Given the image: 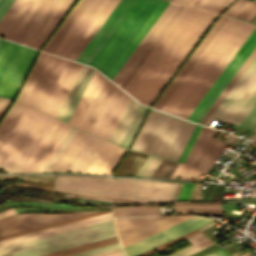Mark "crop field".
<instances>
[{"mask_svg": "<svg viewBox=\"0 0 256 256\" xmlns=\"http://www.w3.org/2000/svg\"><path fill=\"white\" fill-rule=\"evenodd\" d=\"M248 139H250V140H254V139H256V134L252 135V136H251V137H249Z\"/></svg>", "mask_w": 256, "mask_h": 256, "instance_id": "180be81f", "label": "crop field"}, {"mask_svg": "<svg viewBox=\"0 0 256 256\" xmlns=\"http://www.w3.org/2000/svg\"><path fill=\"white\" fill-rule=\"evenodd\" d=\"M194 126L150 109L131 149L177 161Z\"/></svg>", "mask_w": 256, "mask_h": 256, "instance_id": "f4fd0767", "label": "crop field"}, {"mask_svg": "<svg viewBox=\"0 0 256 256\" xmlns=\"http://www.w3.org/2000/svg\"><path fill=\"white\" fill-rule=\"evenodd\" d=\"M54 118L33 110H25L0 147V167L20 172Z\"/></svg>", "mask_w": 256, "mask_h": 256, "instance_id": "e52e79f7", "label": "crop field"}, {"mask_svg": "<svg viewBox=\"0 0 256 256\" xmlns=\"http://www.w3.org/2000/svg\"><path fill=\"white\" fill-rule=\"evenodd\" d=\"M256 131V130H255Z\"/></svg>", "mask_w": 256, "mask_h": 256, "instance_id": "819c52e7", "label": "crop field"}, {"mask_svg": "<svg viewBox=\"0 0 256 256\" xmlns=\"http://www.w3.org/2000/svg\"><path fill=\"white\" fill-rule=\"evenodd\" d=\"M256 2V0H254Z\"/></svg>", "mask_w": 256, "mask_h": 256, "instance_id": "1f1604b0", "label": "crop field"}, {"mask_svg": "<svg viewBox=\"0 0 256 256\" xmlns=\"http://www.w3.org/2000/svg\"><path fill=\"white\" fill-rule=\"evenodd\" d=\"M39 0H15L0 20V37L10 40Z\"/></svg>", "mask_w": 256, "mask_h": 256, "instance_id": "dafd665d", "label": "crop field"}, {"mask_svg": "<svg viewBox=\"0 0 256 256\" xmlns=\"http://www.w3.org/2000/svg\"><path fill=\"white\" fill-rule=\"evenodd\" d=\"M104 143L105 140L78 129L51 172L85 173Z\"/></svg>", "mask_w": 256, "mask_h": 256, "instance_id": "22f410ed", "label": "crop field"}, {"mask_svg": "<svg viewBox=\"0 0 256 256\" xmlns=\"http://www.w3.org/2000/svg\"><path fill=\"white\" fill-rule=\"evenodd\" d=\"M216 16L184 6L123 90L149 106Z\"/></svg>", "mask_w": 256, "mask_h": 256, "instance_id": "8a807250", "label": "crop field"}, {"mask_svg": "<svg viewBox=\"0 0 256 256\" xmlns=\"http://www.w3.org/2000/svg\"><path fill=\"white\" fill-rule=\"evenodd\" d=\"M48 57H49V54L40 52L31 72H30L29 76L27 77L16 100L25 104V102H26L36 80L38 79Z\"/></svg>", "mask_w": 256, "mask_h": 256, "instance_id": "bd1437ed", "label": "crop field"}, {"mask_svg": "<svg viewBox=\"0 0 256 256\" xmlns=\"http://www.w3.org/2000/svg\"><path fill=\"white\" fill-rule=\"evenodd\" d=\"M159 214L157 206H132L114 208V217Z\"/></svg>", "mask_w": 256, "mask_h": 256, "instance_id": "028f5c9d", "label": "crop field"}, {"mask_svg": "<svg viewBox=\"0 0 256 256\" xmlns=\"http://www.w3.org/2000/svg\"><path fill=\"white\" fill-rule=\"evenodd\" d=\"M256 103V57L206 122L220 119L239 126Z\"/></svg>", "mask_w": 256, "mask_h": 256, "instance_id": "28ad6ade", "label": "crop field"}, {"mask_svg": "<svg viewBox=\"0 0 256 256\" xmlns=\"http://www.w3.org/2000/svg\"><path fill=\"white\" fill-rule=\"evenodd\" d=\"M125 151L106 141L86 173L111 174Z\"/></svg>", "mask_w": 256, "mask_h": 256, "instance_id": "4177f3b9", "label": "crop field"}, {"mask_svg": "<svg viewBox=\"0 0 256 256\" xmlns=\"http://www.w3.org/2000/svg\"><path fill=\"white\" fill-rule=\"evenodd\" d=\"M92 213V212H88ZM88 213H67V214H17L0 220V236L26 230L29 228L61 221L64 219L88 214Z\"/></svg>", "mask_w": 256, "mask_h": 256, "instance_id": "4a817a6b", "label": "crop field"}, {"mask_svg": "<svg viewBox=\"0 0 256 256\" xmlns=\"http://www.w3.org/2000/svg\"><path fill=\"white\" fill-rule=\"evenodd\" d=\"M107 212H111V211L96 212V213H92V214H88V215H84V216H80V217L64 220V221H61V222H57V223H53V224H49V225H45V226L29 229V230H26V231H22V232L10 234V235L2 236V237H0V240L11 238V237H15V236H19V235H23V234H26V233L42 230V229H45V228H49V227H53V226H57V225H61V224H65V223H68V222H72V221L88 218V217H91V216H95V215H99V214H103V213H107Z\"/></svg>", "mask_w": 256, "mask_h": 256, "instance_id": "b54c1fbb", "label": "crop field"}, {"mask_svg": "<svg viewBox=\"0 0 256 256\" xmlns=\"http://www.w3.org/2000/svg\"><path fill=\"white\" fill-rule=\"evenodd\" d=\"M253 29L227 18L160 110L187 119Z\"/></svg>", "mask_w": 256, "mask_h": 256, "instance_id": "ac0d7876", "label": "crop field"}, {"mask_svg": "<svg viewBox=\"0 0 256 256\" xmlns=\"http://www.w3.org/2000/svg\"><path fill=\"white\" fill-rule=\"evenodd\" d=\"M183 8L182 5L177 9V11L174 13V15L171 17V19L168 21V23L165 25V27L162 29V31L159 33V35L156 37V39L153 41L151 46L148 48V50L145 52V54L142 56V58L139 60V62L136 64V66L133 68V70L130 72V74L127 76V78L124 80V82L121 84V88L126 85V83L129 81V79L132 77V75L135 73L137 68L140 66V64L143 62V60L146 58V56L149 54V52L152 50L154 45L157 43V41L160 39V37L163 35V33L166 31L168 26L171 24V22L174 20V18L177 16V14L180 12V10Z\"/></svg>", "mask_w": 256, "mask_h": 256, "instance_id": "03da06ac", "label": "crop field"}, {"mask_svg": "<svg viewBox=\"0 0 256 256\" xmlns=\"http://www.w3.org/2000/svg\"><path fill=\"white\" fill-rule=\"evenodd\" d=\"M118 1L119 0H109L107 2V4L104 6V8L98 14V16L92 22V24L89 26V28L86 30V32L83 34V36L80 38V40L77 42V44L71 50V52L68 54L67 58H70L73 60L76 59V57L79 55V53L85 47V45L88 43V41L94 35V33L97 31V29L103 23V21L106 19V17L109 15V13L112 11V9L115 7V5L118 3Z\"/></svg>", "mask_w": 256, "mask_h": 256, "instance_id": "ae1a2a85", "label": "crop field"}, {"mask_svg": "<svg viewBox=\"0 0 256 256\" xmlns=\"http://www.w3.org/2000/svg\"><path fill=\"white\" fill-rule=\"evenodd\" d=\"M135 0H120L80 55L77 57L76 61L88 64L109 34L112 32L114 27L132 5Z\"/></svg>", "mask_w": 256, "mask_h": 256, "instance_id": "bc2a9ffb", "label": "crop field"}, {"mask_svg": "<svg viewBox=\"0 0 256 256\" xmlns=\"http://www.w3.org/2000/svg\"><path fill=\"white\" fill-rule=\"evenodd\" d=\"M255 14H256V7L250 13H248L243 19L249 21Z\"/></svg>", "mask_w": 256, "mask_h": 256, "instance_id": "ae633e8c", "label": "crop field"}, {"mask_svg": "<svg viewBox=\"0 0 256 256\" xmlns=\"http://www.w3.org/2000/svg\"><path fill=\"white\" fill-rule=\"evenodd\" d=\"M256 55V48L253 50V52L250 54V56L247 58V60L244 62V64L241 66V68L238 70V72L235 74L233 79L230 81V83L227 85V87L224 89V91L221 93V95L218 97V99L215 101V103L212 105V107L209 109V111L206 113V115L203 117V119L200 121V124L202 122H206V120L209 118V116L212 114V112L215 110V108L218 106V104L221 102V100L224 98V96L227 94V92L230 90V88L233 86V84L236 82V80L240 77V75L243 73V71L246 69V67L249 65V63L252 61V59Z\"/></svg>", "mask_w": 256, "mask_h": 256, "instance_id": "e1f06a70", "label": "crop field"}, {"mask_svg": "<svg viewBox=\"0 0 256 256\" xmlns=\"http://www.w3.org/2000/svg\"><path fill=\"white\" fill-rule=\"evenodd\" d=\"M178 7V4L170 3L166 10L164 9L165 11L163 14L161 13L162 15L160 18L158 17L159 19L157 22L155 21L156 23L154 26L152 25L153 27L151 30L149 29L150 31L148 34L146 33L147 35L145 38L143 37L144 39L142 42L138 45V47L135 49V51L132 53V55L129 57V59L126 61V63L123 65V67L112 81L120 86V84L123 82V80L126 78V76L129 74V72L132 70V68L135 66V64L138 62V60L141 58V56L144 54L149 45L152 43V41L155 39V37L158 35V33L161 31V29L164 27V25L167 23V21Z\"/></svg>", "mask_w": 256, "mask_h": 256, "instance_id": "92a150f3", "label": "crop field"}, {"mask_svg": "<svg viewBox=\"0 0 256 256\" xmlns=\"http://www.w3.org/2000/svg\"><path fill=\"white\" fill-rule=\"evenodd\" d=\"M253 5V3H249L236 17L239 18L246 10H248L251 6Z\"/></svg>", "mask_w": 256, "mask_h": 256, "instance_id": "c39391a2", "label": "crop field"}, {"mask_svg": "<svg viewBox=\"0 0 256 256\" xmlns=\"http://www.w3.org/2000/svg\"><path fill=\"white\" fill-rule=\"evenodd\" d=\"M107 1L108 0H92L53 51V54L66 57Z\"/></svg>", "mask_w": 256, "mask_h": 256, "instance_id": "214f88e0", "label": "crop field"}, {"mask_svg": "<svg viewBox=\"0 0 256 256\" xmlns=\"http://www.w3.org/2000/svg\"><path fill=\"white\" fill-rule=\"evenodd\" d=\"M182 184H183V183H178V184H177L176 189H175V192H174L173 197H172L171 200H176V199H177Z\"/></svg>", "mask_w": 256, "mask_h": 256, "instance_id": "e1d0b9f6", "label": "crop field"}, {"mask_svg": "<svg viewBox=\"0 0 256 256\" xmlns=\"http://www.w3.org/2000/svg\"><path fill=\"white\" fill-rule=\"evenodd\" d=\"M214 244L211 240H209L208 238L193 245V246H189V247H186L178 252H175L169 256H187L189 254H192L198 250H201L205 247H208L210 245Z\"/></svg>", "mask_w": 256, "mask_h": 256, "instance_id": "25e5ab78", "label": "crop field"}, {"mask_svg": "<svg viewBox=\"0 0 256 256\" xmlns=\"http://www.w3.org/2000/svg\"><path fill=\"white\" fill-rule=\"evenodd\" d=\"M148 108L140 105L135 117L133 118L127 132L125 133L121 143H120V146L124 147V148H128L137 128L139 127L146 111H147Z\"/></svg>", "mask_w": 256, "mask_h": 256, "instance_id": "c21b1889", "label": "crop field"}, {"mask_svg": "<svg viewBox=\"0 0 256 256\" xmlns=\"http://www.w3.org/2000/svg\"><path fill=\"white\" fill-rule=\"evenodd\" d=\"M114 236L111 219L0 248V256H39Z\"/></svg>", "mask_w": 256, "mask_h": 256, "instance_id": "d8731c3e", "label": "crop field"}, {"mask_svg": "<svg viewBox=\"0 0 256 256\" xmlns=\"http://www.w3.org/2000/svg\"><path fill=\"white\" fill-rule=\"evenodd\" d=\"M129 97L106 79L82 129L108 140Z\"/></svg>", "mask_w": 256, "mask_h": 256, "instance_id": "3316defc", "label": "crop field"}, {"mask_svg": "<svg viewBox=\"0 0 256 256\" xmlns=\"http://www.w3.org/2000/svg\"><path fill=\"white\" fill-rule=\"evenodd\" d=\"M75 0H40L11 41L39 49Z\"/></svg>", "mask_w": 256, "mask_h": 256, "instance_id": "5a996713", "label": "crop field"}, {"mask_svg": "<svg viewBox=\"0 0 256 256\" xmlns=\"http://www.w3.org/2000/svg\"><path fill=\"white\" fill-rule=\"evenodd\" d=\"M204 238H206V236L203 235L201 232H199V233H197V234H195V235H192V236L186 238V240H187L190 244H193V243L198 242V241H200V240H202V239H204Z\"/></svg>", "mask_w": 256, "mask_h": 256, "instance_id": "db79e9e6", "label": "crop field"}, {"mask_svg": "<svg viewBox=\"0 0 256 256\" xmlns=\"http://www.w3.org/2000/svg\"><path fill=\"white\" fill-rule=\"evenodd\" d=\"M10 101H11V100L0 98V116L2 115V113L4 112V110L6 109V107H7L8 104L10 103Z\"/></svg>", "mask_w": 256, "mask_h": 256, "instance_id": "7b73153f", "label": "crop field"}, {"mask_svg": "<svg viewBox=\"0 0 256 256\" xmlns=\"http://www.w3.org/2000/svg\"><path fill=\"white\" fill-rule=\"evenodd\" d=\"M139 103H137L134 99L130 97L120 119L118 120L110 138L109 141L119 145L124 133L126 132L132 118L134 117L138 107Z\"/></svg>", "mask_w": 256, "mask_h": 256, "instance_id": "750c4746", "label": "crop field"}, {"mask_svg": "<svg viewBox=\"0 0 256 256\" xmlns=\"http://www.w3.org/2000/svg\"><path fill=\"white\" fill-rule=\"evenodd\" d=\"M195 183H184L177 200H188Z\"/></svg>", "mask_w": 256, "mask_h": 256, "instance_id": "1d79db26", "label": "crop field"}, {"mask_svg": "<svg viewBox=\"0 0 256 256\" xmlns=\"http://www.w3.org/2000/svg\"><path fill=\"white\" fill-rule=\"evenodd\" d=\"M197 232H199V231L195 230V231H193V232H191V233H188V234H186V235H184V236H181V237H179V238H177V239H175V240H172V241H170V242H168V243H165V244H163V245H161V246H158V247H156V248H154V249H151V250H149V251H147V252H145V253H142V254H140V255H138V256H144V255H146V254H149V253H151V252H153V251H156V250H158V249H160V248H163V247H165V246H167V245H169V244H172V243H174V242H176V241H179V240H181V239H183V238H186V237H188V236H190V235H192V234H195V233H197Z\"/></svg>", "mask_w": 256, "mask_h": 256, "instance_id": "9d1cf04e", "label": "crop field"}, {"mask_svg": "<svg viewBox=\"0 0 256 256\" xmlns=\"http://www.w3.org/2000/svg\"><path fill=\"white\" fill-rule=\"evenodd\" d=\"M192 217L179 216H147L116 218V235L122 247Z\"/></svg>", "mask_w": 256, "mask_h": 256, "instance_id": "cbeb9de0", "label": "crop field"}, {"mask_svg": "<svg viewBox=\"0 0 256 256\" xmlns=\"http://www.w3.org/2000/svg\"><path fill=\"white\" fill-rule=\"evenodd\" d=\"M175 211L177 213H198V214H212L219 215L221 214L220 204H210V205H191V204H176L174 205Z\"/></svg>", "mask_w": 256, "mask_h": 256, "instance_id": "5866460e", "label": "crop field"}, {"mask_svg": "<svg viewBox=\"0 0 256 256\" xmlns=\"http://www.w3.org/2000/svg\"><path fill=\"white\" fill-rule=\"evenodd\" d=\"M240 127L254 131L256 128V105L241 123Z\"/></svg>", "mask_w": 256, "mask_h": 256, "instance_id": "1f2cbd36", "label": "crop field"}, {"mask_svg": "<svg viewBox=\"0 0 256 256\" xmlns=\"http://www.w3.org/2000/svg\"><path fill=\"white\" fill-rule=\"evenodd\" d=\"M255 46L256 27L234 55L223 72L220 74V76L217 78V80L214 82V84L211 86L197 107L194 109V111L191 113V115L188 117V120L199 123V121L229 83L231 78L234 76V74L237 72V70L240 68V66L243 64Z\"/></svg>", "mask_w": 256, "mask_h": 256, "instance_id": "5142ce71", "label": "crop field"}, {"mask_svg": "<svg viewBox=\"0 0 256 256\" xmlns=\"http://www.w3.org/2000/svg\"><path fill=\"white\" fill-rule=\"evenodd\" d=\"M117 242L118 241H117L116 237H114V238L78 246L75 248H71V249H67V250H63V251H59V252H55V253H51V254H47V255H43V256H67V255H71L74 253L94 249L97 247H101V246H105V245H109V244H113V243H117Z\"/></svg>", "mask_w": 256, "mask_h": 256, "instance_id": "b80d0937", "label": "crop field"}, {"mask_svg": "<svg viewBox=\"0 0 256 256\" xmlns=\"http://www.w3.org/2000/svg\"><path fill=\"white\" fill-rule=\"evenodd\" d=\"M76 131H77V128L72 126V128L70 129V131L68 132V134L66 135V137L64 138L60 146L58 147L57 151L55 152V154L53 155V157L51 158V160L49 161V163L47 164L43 172H50V170L52 169V167L54 166V164L56 163V161L58 160V158L60 157L63 150L65 149V147L67 146V144L69 143V141L71 140V138L73 137Z\"/></svg>", "mask_w": 256, "mask_h": 256, "instance_id": "d23c7cc5", "label": "crop field"}, {"mask_svg": "<svg viewBox=\"0 0 256 256\" xmlns=\"http://www.w3.org/2000/svg\"><path fill=\"white\" fill-rule=\"evenodd\" d=\"M213 129L202 127L185 163L206 172L228 143L209 137ZM237 138L230 142L233 144Z\"/></svg>", "mask_w": 256, "mask_h": 256, "instance_id": "d9b57169", "label": "crop field"}, {"mask_svg": "<svg viewBox=\"0 0 256 256\" xmlns=\"http://www.w3.org/2000/svg\"><path fill=\"white\" fill-rule=\"evenodd\" d=\"M197 174H198V171H196L184 164L179 163L178 167L174 171L171 178H176L177 175H181L180 179L190 180L191 177L195 178Z\"/></svg>", "mask_w": 256, "mask_h": 256, "instance_id": "73cf0c24", "label": "crop field"}, {"mask_svg": "<svg viewBox=\"0 0 256 256\" xmlns=\"http://www.w3.org/2000/svg\"><path fill=\"white\" fill-rule=\"evenodd\" d=\"M168 4L161 0H136L89 65L112 80Z\"/></svg>", "mask_w": 256, "mask_h": 256, "instance_id": "34b2d1b8", "label": "crop field"}, {"mask_svg": "<svg viewBox=\"0 0 256 256\" xmlns=\"http://www.w3.org/2000/svg\"><path fill=\"white\" fill-rule=\"evenodd\" d=\"M113 201H117V202H127V203H133L132 201H124V200H117V199H114Z\"/></svg>", "mask_w": 256, "mask_h": 256, "instance_id": "fb207236", "label": "crop field"}, {"mask_svg": "<svg viewBox=\"0 0 256 256\" xmlns=\"http://www.w3.org/2000/svg\"><path fill=\"white\" fill-rule=\"evenodd\" d=\"M171 1L187 5L191 0H171Z\"/></svg>", "mask_w": 256, "mask_h": 256, "instance_id": "ade564c9", "label": "crop field"}, {"mask_svg": "<svg viewBox=\"0 0 256 256\" xmlns=\"http://www.w3.org/2000/svg\"><path fill=\"white\" fill-rule=\"evenodd\" d=\"M66 127L67 124L59 121L52 134L50 135V137L36 156L35 160L27 170V172H37V170L39 169V167L41 166V164L43 163V161L45 160V158L47 157V155L49 154V152L51 151Z\"/></svg>", "mask_w": 256, "mask_h": 256, "instance_id": "1d83c4d3", "label": "crop field"}, {"mask_svg": "<svg viewBox=\"0 0 256 256\" xmlns=\"http://www.w3.org/2000/svg\"><path fill=\"white\" fill-rule=\"evenodd\" d=\"M111 218H112V212L107 213V214H103V215H99V216H95V217H91V218H88V219L68 223V224H65V225L45 229V230H42V231L26 234V235H23V236L3 240V241H0V247L7 246V245H10V244H14V243H18V242H22V241H26V240H30V239L45 236V235H49V234H53V233H57V232H60V231H64V230L84 226V225H87V224H91V223L111 219Z\"/></svg>", "mask_w": 256, "mask_h": 256, "instance_id": "eef30255", "label": "crop field"}, {"mask_svg": "<svg viewBox=\"0 0 256 256\" xmlns=\"http://www.w3.org/2000/svg\"><path fill=\"white\" fill-rule=\"evenodd\" d=\"M81 67L50 55L26 105L56 117Z\"/></svg>", "mask_w": 256, "mask_h": 256, "instance_id": "dd49c442", "label": "crop field"}, {"mask_svg": "<svg viewBox=\"0 0 256 256\" xmlns=\"http://www.w3.org/2000/svg\"><path fill=\"white\" fill-rule=\"evenodd\" d=\"M161 161L160 158H155L148 156L136 176H141V177H150L154 169L157 167L159 162Z\"/></svg>", "mask_w": 256, "mask_h": 256, "instance_id": "425ffa30", "label": "crop field"}, {"mask_svg": "<svg viewBox=\"0 0 256 256\" xmlns=\"http://www.w3.org/2000/svg\"><path fill=\"white\" fill-rule=\"evenodd\" d=\"M36 52L0 40V97L14 98Z\"/></svg>", "mask_w": 256, "mask_h": 256, "instance_id": "d1516ede", "label": "crop field"}, {"mask_svg": "<svg viewBox=\"0 0 256 256\" xmlns=\"http://www.w3.org/2000/svg\"><path fill=\"white\" fill-rule=\"evenodd\" d=\"M200 128H201V126L196 125V127H195V129H194V131H193V133H192V135H191V137H190V139H189V141H188V143H187V145H186V147H185V149H184V151H183V153H182V155L179 159L180 162H184V160H185V158H186V156H187V154H188V152H189V150H190V148H191V146H192Z\"/></svg>", "mask_w": 256, "mask_h": 256, "instance_id": "0fb4a251", "label": "crop field"}, {"mask_svg": "<svg viewBox=\"0 0 256 256\" xmlns=\"http://www.w3.org/2000/svg\"><path fill=\"white\" fill-rule=\"evenodd\" d=\"M225 19L226 17L220 15V17L217 19V21L214 23V25L211 27V29L208 31V33L205 35L202 41L199 43L197 48L194 50V52L191 54V56L188 58V60L185 62V64L182 66L179 72L176 74L174 79L171 81V83L168 85V87L165 89V91L153 105V108L159 109V107L162 105V103L165 101V99L168 97V95L171 93V91L174 89V87L177 85V83L180 81V79L183 77V75L186 73V71L189 69L192 63L195 61V59L207 45V43L210 41V39L213 37V35L225 21Z\"/></svg>", "mask_w": 256, "mask_h": 256, "instance_id": "730fd06b", "label": "crop field"}, {"mask_svg": "<svg viewBox=\"0 0 256 256\" xmlns=\"http://www.w3.org/2000/svg\"><path fill=\"white\" fill-rule=\"evenodd\" d=\"M70 128H71V126L68 125V127L66 128V130L64 131V133L62 134V136L60 137V139L58 140V142L56 143V145L54 146V148L52 149V151L50 152V154L48 155V157L46 158V160L44 161V163L42 164V166L38 170V172H42L43 168L47 164V162L50 159V157L52 156L53 152L55 151L57 146L60 144V142L62 141V139L64 138V136L66 135V133L69 131Z\"/></svg>", "mask_w": 256, "mask_h": 256, "instance_id": "447ae74e", "label": "crop field"}, {"mask_svg": "<svg viewBox=\"0 0 256 256\" xmlns=\"http://www.w3.org/2000/svg\"><path fill=\"white\" fill-rule=\"evenodd\" d=\"M232 138H233V136L229 135V136L225 139V141L230 142Z\"/></svg>", "mask_w": 256, "mask_h": 256, "instance_id": "7312dd0a", "label": "crop field"}, {"mask_svg": "<svg viewBox=\"0 0 256 256\" xmlns=\"http://www.w3.org/2000/svg\"><path fill=\"white\" fill-rule=\"evenodd\" d=\"M80 203H86V204H110L108 202L88 200V199H83V198H80Z\"/></svg>", "mask_w": 256, "mask_h": 256, "instance_id": "78b8030e", "label": "crop field"}, {"mask_svg": "<svg viewBox=\"0 0 256 256\" xmlns=\"http://www.w3.org/2000/svg\"><path fill=\"white\" fill-rule=\"evenodd\" d=\"M234 0H192L188 5L221 13Z\"/></svg>", "mask_w": 256, "mask_h": 256, "instance_id": "0bd39190", "label": "crop field"}, {"mask_svg": "<svg viewBox=\"0 0 256 256\" xmlns=\"http://www.w3.org/2000/svg\"><path fill=\"white\" fill-rule=\"evenodd\" d=\"M103 77L99 72L95 70L88 86L86 87L78 105L76 106L69 123L81 128L92 104L94 103L104 81Z\"/></svg>", "mask_w": 256, "mask_h": 256, "instance_id": "00972430", "label": "crop field"}, {"mask_svg": "<svg viewBox=\"0 0 256 256\" xmlns=\"http://www.w3.org/2000/svg\"><path fill=\"white\" fill-rule=\"evenodd\" d=\"M177 183L134 180L56 176L54 189L72 193L132 198L140 202L170 200Z\"/></svg>", "mask_w": 256, "mask_h": 256, "instance_id": "412701ff", "label": "crop field"}, {"mask_svg": "<svg viewBox=\"0 0 256 256\" xmlns=\"http://www.w3.org/2000/svg\"><path fill=\"white\" fill-rule=\"evenodd\" d=\"M256 6V4H254L247 12H245L240 19H242L249 11H251L254 7Z\"/></svg>", "mask_w": 256, "mask_h": 256, "instance_id": "c3a83c6f", "label": "crop field"}, {"mask_svg": "<svg viewBox=\"0 0 256 256\" xmlns=\"http://www.w3.org/2000/svg\"><path fill=\"white\" fill-rule=\"evenodd\" d=\"M205 256H229V255L227 253H225L223 250L219 249V250L212 252Z\"/></svg>", "mask_w": 256, "mask_h": 256, "instance_id": "0f1d7ab4", "label": "crop field"}, {"mask_svg": "<svg viewBox=\"0 0 256 256\" xmlns=\"http://www.w3.org/2000/svg\"><path fill=\"white\" fill-rule=\"evenodd\" d=\"M211 220L212 219L210 218L194 216L188 220H185L140 241L130 244L124 247V250L128 256H135L187 232H190Z\"/></svg>", "mask_w": 256, "mask_h": 256, "instance_id": "733c2abd", "label": "crop field"}, {"mask_svg": "<svg viewBox=\"0 0 256 256\" xmlns=\"http://www.w3.org/2000/svg\"><path fill=\"white\" fill-rule=\"evenodd\" d=\"M57 123H58V120L55 119V121L53 122V124L51 125V127L49 128V130L47 131V133L45 134V136L43 137V139L41 140V142L39 143V145L33 152V154L31 155V157L29 158V160L27 161V163L21 170V172H26V170L32 163L33 159L35 158V156L37 155V153L39 152V150L41 149V147L43 146V144L45 143V141L47 140V138L49 137L50 133L52 132V130L54 129V127L56 126Z\"/></svg>", "mask_w": 256, "mask_h": 256, "instance_id": "89e229c0", "label": "crop field"}, {"mask_svg": "<svg viewBox=\"0 0 256 256\" xmlns=\"http://www.w3.org/2000/svg\"><path fill=\"white\" fill-rule=\"evenodd\" d=\"M177 162L162 159L158 167L155 169L151 177H165L170 178L171 174L175 170Z\"/></svg>", "mask_w": 256, "mask_h": 256, "instance_id": "5d738f31", "label": "crop field"}, {"mask_svg": "<svg viewBox=\"0 0 256 256\" xmlns=\"http://www.w3.org/2000/svg\"><path fill=\"white\" fill-rule=\"evenodd\" d=\"M218 134H219V131L216 130L212 136L216 138V136H217Z\"/></svg>", "mask_w": 256, "mask_h": 256, "instance_id": "f0312440", "label": "crop field"}, {"mask_svg": "<svg viewBox=\"0 0 256 256\" xmlns=\"http://www.w3.org/2000/svg\"><path fill=\"white\" fill-rule=\"evenodd\" d=\"M71 256H126L123 249L117 244L97 248L94 250L74 254Z\"/></svg>", "mask_w": 256, "mask_h": 256, "instance_id": "c035e120", "label": "crop field"}, {"mask_svg": "<svg viewBox=\"0 0 256 256\" xmlns=\"http://www.w3.org/2000/svg\"><path fill=\"white\" fill-rule=\"evenodd\" d=\"M248 3L247 0H237L223 14L235 17Z\"/></svg>", "mask_w": 256, "mask_h": 256, "instance_id": "dbb93151", "label": "crop field"}, {"mask_svg": "<svg viewBox=\"0 0 256 256\" xmlns=\"http://www.w3.org/2000/svg\"><path fill=\"white\" fill-rule=\"evenodd\" d=\"M26 106L14 101L8 112L6 113L5 117L0 123V146L10 133L24 110Z\"/></svg>", "mask_w": 256, "mask_h": 256, "instance_id": "120bbe31", "label": "crop field"}, {"mask_svg": "<svg viewBox=\"0 0 256 256\" xmlns=\"http://www.w3.org/2000/svg\"><path fill=\"white\" fill-rule=\"evenodd\" d=\"M214 221H215V220H214ZM213 224H215V223L212 221V222L208 223L207 225L201 227L200 230L202 231V230L208 228L209 226H211V225H213Z\"/></svg>", "mask_w": 256, "mask_h": 256, "instance_id": "c5b07064", "label": "crop field"}, {"mask_svg": "<svg viewBox=\"0 0 256 256\" xmlns=\"http://www.w3.org/2000/svg\"><path fill=\"white\" fill-rule=\"evenodd\" d=\"M66 196H78V195H66ZM83 198H90V199H96V200H102V201H108L111 202V199H104V198H95V197H87V196H79Z\"/></svg>", "mask_w": 256, "mask_h": 256, "instance_id": "d14b1444", "label": "crop field"}, {"mask_svg": "<svg viewBox=\"0 0 256 256\" xmlns=\"http://www.w3.org/2000/svg\"><path fill=\"white\" fill-rule=\"evenodd\" d=\"M147 155L129 151L123 162L120 164L114 175L135 176Z\"/></svg>", "mask_w": 256, "mask_h": 256, "instance_id": "d32e631a", "label": "crop field"}, {"mask_svg": "<svg viewBox=\"0 0 256 256\" xmlns=\"http://www.w3.org/2000/svg\"><path fill=\"white\" fill-rule=\"evenodd\" d=\"M95 69L83 65L76 81L74 82L66 100L64 101L57 118L68 122L75 106L77 105L85 87L87 86Z\"/></svg>", "mask_w": 256, "mask_h": 256, "instance_id": "a9b5d70f", "label": "crop field"}, {"mask_svg": "<svg viewBox=\"0 0 256 256\" xmlns=\"http://www.w3.org/2000/svg\"><path fill=\"white\" fill-rule=\"evenodd\" d=\"M90 1L91 0L78 1V3L67 16V18L64 20V22L61 24V26L58 28V30L55 32V34L52 36L46 46L43 48V51L52 53V51L55 49V47L58 45V43L61 41V39L64 37V35L67 33V31L70 29V27L73 25V23L76 21V19L79 17V15L82 13V11L85 9Z\"/></svg>", "mask_w": 256, "mask_h": 256, "instance_id": "d3111659", "label": "crop field"}, {"mask_svg": "<svg viewBox=\"0 0 256 256\" xmlns=\"http://www.w3.org/2000/svg\"><path fill=\"white\" fill-rule=\"evenodd\" d=\"M14 0H0V19L11 6Z\"/></svg>", "mask_w": 256, "mask_h": 256, "instance_id": "0765c3eb", "label": "crop field"}]
</instances>
